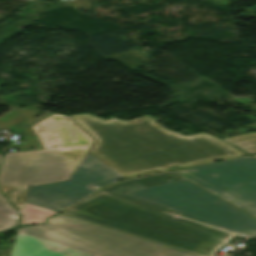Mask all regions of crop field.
I'll return each mask as SVG.
<instances>
[{
	"mask_svg": "<svg viewBox=\"0 0 256 256\" xmlns=\"http://www.w3.org/2000/svg\"><path fill=\"white\" fill-rule=\"evenodd\" d=\"M222 140L248 153H256V132L222 138Z\"/></svg>",
	"mask_w": 256,
	"mask_h": 256,
	"instance_id": "crop-field-9",
	"label": "crop field"
},
{
	"mask_svg": "<svg viewBox=\"0 0 256 256\" xmlns=\"http://www.w3.org/2000/svg\"><path fill=\"white\" fill-rule=\"evenodd\" d=\"M11 256H88L34 237L16 233Z\"/></svg>",
	"mask_w": 256,
	"mask_h": 256,
	"instance_id": "crop-field-8",
	"label": "crop field"
},
{
	"mask_svg": "<svg viewBox=\"0 0 256 256\" xmlns=\"http://www.w3.org/2000/svg\"><path fill=\"white\" fill-rule=\"evenodd\" d=\"M62 214L197 256H214L235 236L102 192Z\"/></svg>",
	"mask_w": 256,
	"mask_h": 256,
	"instance_id": "crop-field-2",
	"label": "crop field"
},
{
	"mask_svg": "<svg viewBox=\"0 0 256 256\" xmlns=\"http://www.w3.org/2000/svg\"><path fill=\"white\" fill-rule=\"evenodd\" d=\"M102 192L157 210L173 209L182 218L256 238L255 218L172 172L119 182Z\"/></svg>",
	"mask_w": 256,
	"mask_h": 256,
	"instance_id": "crop-field-4",
	"label": "crop field"
},
{
	"mask_svg": "<svg viewBox=\"0 0 256 256\" xmlns=\"http://www.w3.org/2000/svg\"><path fill=\"white\" fill-rule=\"evenodd\" d=\"M4 16H0V19L3 18Z\"/></svg>",
	"mask_w": 256,
	"mask_h": 256,
	"instance_id": "crop-field-13",
	"label": "crop field"
},
{
	"mask_svg": "<svg viewBox=\"0 0 256 256\" xmlns=\"http://www.w3.org/2000/svg\"><path fill=\"white\" fill-rule=\"evenodd\" d=\"M71 6H73L75 9L77 8H86L88 10L91 9L92 4L88 3L87 0H74L69 2Z\"/></svg>",
	"mask_w": 256,
	"mask_h": 256,
	"instance_id": "crop-field-11",
	"label": "crop field"
},
{
	"mask_svg": "<svg viewBox=\"0 0 256 256\" xmlns=\"http://www.w3.org/2000/svg\"><path fill=\"white\" fill-rule=\"evenodd\" d=\"M3 154H0V161ZM4 212L7 213H16L12 205L0 194V230H4V225L9 220Z\"/></svg>",
	"mask_w": 256,
	"mask_h": 256,
	"instance_id": "crop-field-10",
	"label": "crop field"
},
{
	"mask_svg": "<svg viewBox=\"0 0 256 256\" xmlns=\"http://www.w3.org/2000/svg\"><path fill=\"white\" fill-rule=\"evenodd\" d=\"M120 179L124 178L87 152L68 181L28 187L24 202L58 213L96 191L90 187Z\"/></svg>",
	"mask_w": 256,
	"mask_h": 256,
	"instance_id": "crop-field-7",
	"label": "crop field"
},
{
	"mask_svg": "<svg viewBox=\"0 0 256 256\" xmlns=\"http://www.w3.org/2000/svg\"><path fill=\"white\" fill-rule=\"evenodd\" d=\"M176 173L256 217V159L249 156L199 165Z\"/></svg>",
	"mask_w": 256,
	"mask_h": 256,
	"instance_id": "crop-field-6",
	"label": "crop field"
},
{
	"mask_svg": "<svg viewBox=\"0 0 256 256\" xmlns=\"http://www.w3.org/2000/svg\"><path fill=\"white\" fill-rule=\"evenodd\" d=\"M33 128L44 150L5 154L0 169V188L18 209L28 186L68 180L94 141L65 115Z\"/></svg>",
	"mask_w": 256,
	"mask_h": 256,
	"instance_id": "crop-field-3",
	"label": "crop field"
},
{
	"mask_svg": "<svg viewBox=\"0 0 256 256\" xmlns=\"http://www.w3.org/2000/svg\"><path fill=\"white\" fill-rule=\"evenodd\" d=\"M69 117L95 140L88 152L125 178L246 155L208 133L185 136L167 130L148 115L132 121Z\"/></svg>",
	"mask_w": 256,
	"mask_h": 256,
	"instance_id": "crop-field-1",
	"label": "crop field"
},
{
	"mask_svg": "<svg viewBox=\"0 0 256 256\" xmlns=\"http://www.w3.org/2000/svg\"><path fill=\"white\" fill-rule=\"evenodd\" d=\"M21 211H22V210H18L17 213H21ZM6 215L9 217L10 220H9V221L7 222V224L4 226L5 229L12 227V226L15 225L16 222H17L16 214L11 215V214H7V213H6Z\"/></svg>",
	"mask_w": 256,
	"mask_h": 256,
	"instance_id": "crop-field-12",
	"label": "crop field"
},
{
	"mask_svg": "<svg viewBox=\"0 0 256 256\" xmlns=\"http://www.w3.org/2000/svg\"><path fill=\"white\" fill-rule=\"evenodd\" d=\"M18 232L91 256H194L62 214Z\"/></svg>",
	"mask_w": 256,
	"mask_h": 256,
	"instance_id": "crop-field-5",
	"label": "crop field"
},
{
	"mask_svg": "<svg viewBox=\"0 0 256 256\" xmlns=\"http://www.w3.org/2000/svg\"><path fill=\"white\" fill-rule=\"evenodd\" d=\"M254 157H256V155H253Z\"/></svg>",
	"mask_w": 256,
	"mask_h": 256,
	"instance_id": "crop-field-14",
	"label": "crop field"
}]
</instances>
